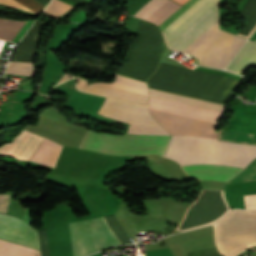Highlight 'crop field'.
I'll return each mask as SVG.
<instances>
[{"label": "crop field", "mask_w": 256, "mask_h": 256, "mask_svg": "<svg viewBox=\"0 0 256 256\" xmlns=\"http://www.w3.org/2000/svg\"><path fill=\"white\" fill-rule=\"evenodd\" d=\"M215 1L217 0H199L169 27ZM162 34L168 48L190 53L198 59L201 65L221 69L229 63L246 41L218 29L217 2L162 32Z\"/></svg>", "instance_id": "8a807250"}, {"label": "crop field", "mask_w": 256, "mask_h": 256, "mask_svg": "<svg viewBox=\"0 0 256 256\" xmlns=\"http://www.w3.org/2000/svg\"><path fill=\"white\" fill-rule=\"evenodd\" d=\"M234 78L160 63L147 82L155 90L187 96L224 105L237 85Z\"/></svg>", "instance_id": "ac0d7876"}, {"label": "crop field", "mask_w": 256, "mask_h": 256, "mask_svg": "<svg viewBox=\"0 0 256 256\" xmlns=\"http://www.w3.org/2000/svg\"><path fill=\"white\" fill-rule=\"evenodd\" d=\"M164 157L174 159L180 165L220 164L245 168L256 158V146L194 136H172Z\"/></svg>", "instance_id": "34b2d1b8"}, {"label": "crop field", "mask_w": 256, "mask_h": 256, "mask_svg": "<svg viewBox=\"0 0 256 256\" xmlns=\"http://www.w3.org/2000/svg\"><path fill=\"white\" fill-rule=\"evenodd\" d=\"M164 48L159 28L141 20L137 38L128 52V59L115 73L146 82L156 71Z\"/></svg>", "instance_id": "412701ff"}, {"label": "crop field", "mask_w": 256, "mask_h": 256, "mask_svg": "<svg viewBox=\"0 0 256 256\" xmlns=\"http://www.w3.org/2000/svg\"><path fill=\"white\" fill-rule=\"evenodd\" d=\"M170 136L112 135L87 131L80 147L108 154L163 155Z\"/></svg>", "instance_id": "f4fd0767"}, {"label": "crop field", "mask_w": 256, "mask_h": 256, "mask_svg": "<svg viewBox=\"0 0 256 256\" xmlns=\"http://www.w3.org/2000/svg\"><path fill=\"white\" fill-rule=\"evenodd\" d=\"M69 226L73 256H84L120 244L103 217L72 222Z\"/></svg>", "instance_id": "dd49c442"}, {"label": "crop field", "mask_w": 256, "mask_h": 256, "mask_svg": "<svg viewBox=\"0 0 256 256\" xmlns=\"http://www.w3.org/2000/svg\"><path fill=\"white\" fill-rule=\"evenodd\" d=\"M98 113L129 123L127 133L169 135L143 106L106 98Z\"/></svg>", "instance_id": "e52e79f7"}, {"label": "crop field", "mask_w": 256, "mask_h": 256, "mask_svg": "<svg viewBox=\"0 0 256 256\" xmlns=\"http://www.w3.org/2000/svg\"><path fill=\"white\" fill-rule=\"evenodd\" d=\"M154 119L160 122L171 135H194L217 139L216 124L181 117L149 109Z\"/></svg>", "instance_id": "d8731c3e"}, {"label": "crop field", "mask_w": 256, "mask_h": 256, "mask_svg": "<svg viewBox=\"0 0 256 256\" xmlns=\"http://www.w3.org/2000/svg\"><path fill=\"white\" fill-rule=\"evenodd\" d=\"M0 238L39 249L36 232L12 216L0 214Z\"/></svg>", "instance_id": "5a996713"}, {"label": "crop field", "mask_w": 256, "mask_h": 256, "mask_svg": "<svg viewBox=\"0 0 256 256\" xmlns=\"http://www.w3.org/2000/svg\"><path fill=\"white\" fill-rule=\"evenodd\" d=\"M148 108L216 123L221 113L150 97Z\"/></svg>", "instance_id": "3316defc"}, {"label": "crop field", "mask_w": 256, "mask_h": 256, "mask_svg": "<svg viewBox=\"0 0 256 256\" xmlns=\"http://www.w3.org/2000/svg\"><path fill=\"white\" fill-rule=\"evenodd\" d=\"M218 140L234 142V143H244V144H254L256 145V135L222 131L217 132ZM256 180V159L252 161L239 175L232 178L228 183L232 182H243V181H254Z\"/></svg>", "instance_id": "28ad6ade"}, {"label": "crop field", "mask_w": 256, "mask_h": 256, "mask_svg": "<svg viewBox=\"0 0 256 256\" xmlns=\"http://www.w3.org/2000/svg\"><path fill=\"white\" fill-rule=\"evenodd\" d=\"M182 168L194 180L216 179L221 181H228L242 170L217 165L183 166Z\"/></svg>", "instance_id": "d1516ede"}, {"label": "crop field", "mask_w": 256, "mask_h": 256, "mask_svg": "<svg viewBox=\"0 0 256 256\" xmlns=\"http://www.w3.org/2000/svg\"><path fill=\"white\" fill-rule=\"evenodd\" d=\"M181 6L169 0H151L134 16L160 25Z\"/></svg>", "instance_id": "22f410ed"}, {"label": "crop field", "mask_w": 256, "mask_h": 256, "mask_svg": "<svg viewBox=\"0 0 256 256\" xmlns=\"http://www.w3.org/2000/svg\"><path fill=\"white\" fill-rule=\"evenodd\" d=\"M43 21H36L31 29L25 34L21 42L18 44L12 61L32 62L34 51L40 38V27Z\"/></svg>", "instance_id": "cbeb9de0"}, {"label": "crop field", "mask_w": 256, "mask_h": 256, "mask_svg": "<svg viewBox=\"0 0 256 256\" xmlns=\"http://www.w3.org/2000/svg\"><path fill=\"white\" fill-rule=\"evenodd\" d=\"M256 65V40H248L245 46L239 51L226 70L239 74L248 67Z\"/></svg>", "instance_id": "5142ce71"}, {"label": "crop field", "mask_w": 256, "mask_h": 256, "mask_svg": "<svg viewBox=\"0 0 256 256\" xmlns=\"http://www.w3.org/2000/svg\"><path fill=\"white\" fill-rule=\"evenodd\" d=\"M62 146L46 138L39 145L30 161L54 168Z\"/></svg>", "instance_id": "d9b57169"}, {"label": "crop field", "mask_w": 256, "mask_h": 256, "mask_svg": "<svg viewBox=\"0 0 256 256\" xmlns=\"http://www.w3.org/2000/svg\"><path fill=\"white\" fill-rule=\"evenodd\" d=\"M83 91L103 94V95L131 101V102H136L144 105H147V100H148V97L146 96L124 92L116 89H110V88H106V87H102L94 84H91Z\"/></svg>", "instance_id": "733c2abd"}, {"label": "crop field", "mask_w": 256, "mask_h": 256, "mask_svg": "<svg viewBox=\"0 0 256 256\" xmlns=\"http://www.w3.org/2000/svg\"><path fill=\"white\" fill-rule=\"evenodd\" d=\"M149 90H150V96H152V97L175 101V102L193 105V106H197V107L207 108V109L216 110V111H220V112L224 113V106H222V105L204 102V101H200V100H195V99H191V98H186V97L173 95V94H169V93H164V92H160V91H155V90H151V89H149Z\"/></svg>", "instance_id": "4a817a6b"}, {"label": "crop field", "mask_w": 256, "mask_h": 256, "mask_svg": "<svg viewBox=\"0 0 256 256\" xmlns=\"http://www.w3.org/2000/svg\"><path fill=\"white\" fill-rule=\"evenodd\" d=\"M94 84L148 96V87L146 83L121 77L118 75H116V80L112 84H100V83H94Z\"/></svg>", "instance_id": "bc2a9ffb"}, {"label": "crop field", "mask_w": 256, "mask_h": 256, "mask_svg": "<svg viewBox=\"0 0 256 256\" xmlns=\"http://www.w3.org/2000/svg\"><path fill=\"white\" fill-rule=\"evenodd\" d=\"M0 242L6 241L0 240ZM7 243H0V256H40L38 250Z\"/></svg>", "instance_id": "214f88e0"}, {"label": "crop field", "mask_w": 256, "mask_h": 256, "mask_svg": "<svg viewBox=\"0 0 256 256\" xmlns=\"http://www.w3.org/2000/svg\"><path fill=\"white\" fill-rule=\"evenodd\" d=\"M25 22L0 19V38L12 40Z\"/></svg>", "instance_id": "92a150f3"}, {"label": "crop field", "mask_w": 256, "mask_h": 256, "mask_svg": "<svg viewBox=\"0 0 256 256\" xmlns=\"http://www.w3.org/2000/svg\"><path fill=\"white\" fill-rule=\"evenodd\" d=\"M16 1L20 2L21 4L25 5L26 7L32 9L33 11H35L37 13L40 12L44 6L35 0H16ZM16 1L15 0H0V4H5V5L13 6L16 8L32 11Z\"/></svg>", "instance_id": "dafd665d"}, {"label": "crop field", "mask_w": 256, "mask_h": 256, "mask_svg": "<svg viewBox=\"0 0 256 256\" xmlns=\"http://www.w3.org/2000/svg\"><path fill=\"white\" fill-rule=\"evenodd\" d=\"M71 7H73V6H71L69 4L62 3L58 0H52L45 10L54 15L59 16L62 13H64L65 11H67L68 9H70Z\"/></svg>", "instance_id": "00972430"}, {"label": "crop field", "mask_w": 256, "mask_h": 256, "mask_svg": "<svg viewBox=\"0 0 256 256\" xmlns=\"http://www.w3.org/2000/svg\"><path fill=\"white\" fill-rule=\"evenodd\" d=\"M197 1L198 0L189 1L186 5H184L177 12H175L171 17H169L163 24H161L159 26L160 29L163 31L174 19H176L182 12H184L186 9H188L190 6H192Z\"/></svg>", "instance_id": "a9b5d70f"}, {"label": "crop field", "mask_w": 256, "mask_h": 256, "mask_svg": "<svg viewBox=\"0 0 256 256\" xmlns=\"http://www.w3.org/2000/svg\"><path fill=\"white\" fill-rule=\"evenodd\" d=\"M246 209H256V194L244 196Z\"/></svg>", "instance_id": "4177f3b9"}, {"label": "crop field", "mask_w": 256, "mask_h": 256, "mask_svg": "<svg viewBox=\"0 0 256 256\" xmlns=\"http://www.w3.org/2000/svg\"><path fill=\"white\" fill-rule=\"evenodd\" d=\"M71 77H73V76L65 74L64 77L60 80V82L66 80L68 78H71ZM77 79H78V81H77V88L79 90L85 88L87 83H88V80H84V79H81V78H78V77H77Z\"/></svg>", "instance_id": "730fd06b"}, {"label": "crop field", "mask_w": 256, "mask_h": 256, "mask_svg": "<svg viewBox=\"0 0 256 256\" xmlns=\"http://www.w3.org/2000/svg\"><path fill=\"white\" fill-rule=\"evenodd\" d=\"M8 195H0V212L5 213L8 205Z\"/></svg>", "instance_id": "eef30255"}, {"label": "crop field", "mask_w": 256, "mask_h": 256, "mask_svg": "<svg viewBox=\"0 0 256 256\" xmlns=\"http://www.w3.org/2000/svg\"><path fill=\"white\" fill-rule=\"evenodd\" d=\"M172 1H174V2H176L177 4H179V5H183L184 3H186L188 0H172Z\"/></svg>", "instance_id": "ae1a2a85"}, {"label": "crop field", "mask_w": 256, "mask_h": 256, "mask_svg": "<svg viewBox=\"0 0 256 256\" xmlns=\"http://www.w3.org/2000/svg\"><path fill=\"white\" fill-rule=\"evenodd\" d=\"M38 1L46 5L49 0H38Z\"/></svg>", "instance_id": "d3111659"}, {"label": "crop field", "mask_w": 256, "mask_h": 256, "mask_svg": "<svg viewBox=\"0 0 256 256\" xmlns=\"http://www.w3.org/2000/svg\"><path fill=\"white\" fill-rule=\"evenodd\" d=\"M74 2H80V1H85V0H72Z\"/></svg>", "instance_id": "750c4746"}]
</instances>
